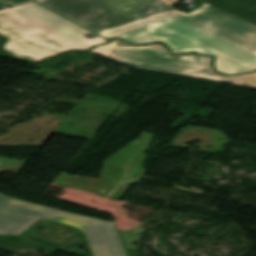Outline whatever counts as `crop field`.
Segmentation results:
<instances>
[{
  "mask_svg": "<svg viewBox=\"0 0 256 256\" xmlns=\"http://www.w3.org/2000/svg\"><path fill=\"white\" fill-rule=\"evenodd\" d=\"M224 82L256 87V73L231 77Z\"/></svg>",
  "mask_w": 256,
  "mask_h": 256,
  "instance_id": "d8731c3e",
  "label": "crop field"
},
{
  "mask_svg": "<svg viewBox=\"0 0 256 256\" xmlns=\"http://www.w3.org/2000/svg\"><path fill=\"white\" fill-rule=\"evenodd\" d=\"M5 1L6 3H8L9 5H15L17 3H21V2H24V1H28V0H3ZM4 2V3H5Z\"/></svg>",
  "mask_w": 256,
  "mask_h": 256,
  "instance_id": "28ad6ade",
  "label": "crop field"
},
{
  "mask_svg": "<svg viewBox=\"0 0 256 256\" xmlns=\"http://www.w3.org/2000/svg\"><path fill=\"white\" fill-rule=\"evenodd\" d=\"M151 136H152L151 134H147V133L144 134L142 143L140 145V148H139V151H138V154H137V157L135 159V162H134L133 166H136V167H141L142 166V163H143L144 158H145L144 153H145L146 149L149 147Z\"/></svg>",
  "mask_w": 256,
  "mask_h": 256,
  "instance_id": "5a996713",
  "label": "crop field"
},
{
  "mask_svg": "<svg viewBox=\"0 0 256 256\" xmlns=\"http://www.w3.org/2000/svg\"><path fill=\"white\" fill-rule=\"evenodd\" d=\"M162 1H164L165 3L171 6L177 0H162Z\"/></svg>",
  "mask_w": 256,
  "mask_h": 256,
  "instance_id": "d1516ede",
  "label": "crop field"
},
{
  "mask_svg": "<svg viewBox=\"0 0 256 256\" xmlns=\"http://www.w3.org/2000/svg\"><path fill=\"white\" fill-rule=\"evenodd\" d=\"M38 219L0 209V235H20Z\"/></svg>",
  "mask_w": 256,
  "mask_h": 256,
  "instance_id": "e52e79f7",
  "label": "crop field"
},
{
  "mask_svg": "<svg viewBox=\"0 0 256 256\" xmlns=\"http://www.w3.org/2000/svg\"><path fill=\"white\" fill-rule=\"evenodd\" d=\"M143 171H144V168L133 167L131 172H130V175H129L128 179H127V182H129V183H136V182H138V180L140 179Z\"/></svg>",
  "mask_w": 256,
  "mask_h": 256,
  "instance_id": "3316defc",
  "label": "crop field"
},
{
  "mask_svg": "<svg viewBox=\"0 0 256 256\" xmlns=\"http://www.w3.org/2000/svg\"><path fill=\"white\" fill-rule=\"evenodd\" d=\"M139 140L132 142L118 154L106 160L101 180L61 174L54 183L88 190L101 196L118 200L130 185L125 183V179L131 167Z\"/></svg>",
  "mask_w": 256,
  "mask_h": 256,
  "instance_id": "f4fd0767",
  "label": "crop field"
},
{
  "mask_svg": "<svg viewBox=\"0 0 256 256\" xmlns=\"http://www.w3.org/2000/svg\"><path fill=\"white\" fill-rule=\"evenodd\" d=\"M256 25V0H200Z\"/></svg>",
  "mask_w": 256,
  "mask_h": 256,
  "instance_id": "dd49c442",
  "label": "crop field"
},
{
  "mask_svg": "<svg viewBox=\"0 0 256 256\" xmlns=\"http://www.w3.org/2000/svg\"><path fill=\"white\" fill-rule=\"evenodd\" d=\"M7 7H9V6H7V5H5V4H3V3L0 2V10H1V9H4V8H7Z\"/></svg>",
  "mask_w": 256,
  "mask_h": 256,
  "instance_id": "22f410ed",
  "label": "crop field"
},
{
  "mask_svg": "<svg viewBox=\"0 0 256 256\" xmlns=\"http://www.w3.org/2000/svg\"><path fill=\"white\" fill-rule=\"evenodd\" d=\"M61 16L33 3L0 11V34L9 41L4 49L18 57L41 61L68 50H86L96 43H106L97 36Z\"/></svg>",
  "mask_w": 256,
  "mask_h": 256,
  "instance_id": "ac0d7876",
  "label": "crop field"
},
{
  "mask_svg": "<svg viewBox=\"0 0 256 256\" xmlns=\"http://www.w3.org/2000/svg\"><path fill=\"white\" fill-rule=\"evenodd\" d=\"M110 39L131 44L162 41L173 54L215 56L223 74L256 70V26L207 4L185 13L158 0H37Z\"/></svg>",
  "mask_w": 256,
  "mask_h": 256,
  "instance_id": "8a807250",
  "label": "crop field"
},
{
  "mask_svg": "<svg viewBox=\"0 0 256 256\" xmlns=\"http://www.w3.org/2000/svg\"><path fill=\"white\" fill-rule=\"evenodd\" d=\"M118 63L141 69L168 72L222 81L228 77L215 73L212 58L199 55L171 56L160 45L131 46L119 40L93 50Z\"/></svg>",
  "mask_w": 256,
  "mask_h": 256,
  "instance_id": "34b2d1b8",
  "label": "crop field"
},
{
  "mask_svg": "<svg viewBox=\"0 0 256 256\" xmlns=\"http://www.w3.org/2000/svg\"><path fill=\"white\" fill-rule=\"evenodd\" d=\"M0 208L41 217L84 231L93 256H127L113 222L24 202L1 193Z\"/></svg>",
  "mask_w": 256,
  "mask_h": 256,
  "instance_id": "412701ff",
  "label": "crop field"
}]
</instances>
